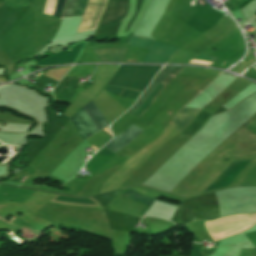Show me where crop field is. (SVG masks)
I'll list each match as a JSON object with an SVG mask.
<instances>
[{
    "label": "crop field",
    "instance_id": "crop-field-7",
    "mask_svg": "<svg viewBox=\"0 0 256 256\" xmlns=\"http://www.w3.org/2000/svg\"><path fill=\"white\" fill-rule=\"evenodd\" d=\"M141 131V129L131 124L124 133L115 137L105 146V148L117 153L123 147H125L128 142L134 139Z\"/></svg>",
    "mask_w": 256,
    "mask_h": 256
},
{
    "label": "crop field",
    "instance_id": "crop-field-6",
    "mask_svg": "<svg viewBox=\"0 0 256 256\" xmlns=\"http://www.w3.org/2000/svg\"><path fill=\"white\" fill-rule=\"evenodd\" d=\"M251 160L252 159L234 162L215 180V182L205 192L229 186Z\"/></svg>",
    "mask_w": 256,
    "mask_h": 256
},
{
    "label": "crop field",
    "instance_id": "crop-field-5",
    "mask_svg": "<svg viewBox=\"0 0 256 256\" xmlns=\"http://www.w3.org/2000/svg\"><path fill=\"white\" fill-rule=\"evenodd\" d=\"M107 0H89L87 9L77 32L96 28L98 20L105 9Z\"/></svg>",
    "mask_w": 256,
    "mask_h": 256
},
{
    "label": "crop field",
    "instance_id": "crop-field-16",
    "mask_svg": "<svg viewBox=\"0 0 256 256\" xmlns=\"http://www.w3.org/2000/svg\"><path fill=\"white\" fill-rule=\"evenodd\" d=\"M224 63H225V62H224ZM224 63H223V64H224ZM223 64H222V65H223ZM222 65H221V66H222Z\"/></svg>",
    "mask_w": 256,
    "mask_h": 256
},
{
    "label": "crop field",
    "instance_id": "crop-field-2",
    "mask_svg": "<svg viewBox=\"0 0 256 256\" xmlns=\"http://www.w3.org/2000/svg\"><path fill=\"white\" fill-rule=\"evenodd\" d=\"M83 108L98 130L110 125L92 101ZM84 110L80 109L70 118L82 140L88 138V135L98 132Z\"/></svg>",
    "mask_w": 256,
    "mask_h": 256
},
{
    "label": "crop field",
    "instance_id": "crop-field-17",
    "mask_svg": "<svg viewBox=\"0 0 256 256\" xmlns=\"http://www.w3.org/2000/svg\"><path fill=\"white\" fill-rule=\"evenodd\" d=\"M1 143V142H0Z\"/></svg>",
    "mask_w": 256,
    "mask_h": 256
},
{
    "label": "crop field",
    "instance_id": "crop-field-10",
    "mask_svg": "<svg viewBox=\"0 0 256 256\" xmlns=\"http://www.w3.org/2000/svg\"><path fill=\"white\" fill-rule=\"evenodd\" d=\"M77 0H67L65 12L63 18H72L75 4ZM87 3V0H78L74 17L73 18H82V14L84 12L85 5Z\"/></svg>",
    "mask_w": 256,
    "mask_h": 256
},
{
    "label": "crop field",
    "instance_id": "crop-field-15",
    "mask_svg": "<svg viewBox=\"0 0 256 256\" xmlns=\"http://www.w3.org/2000/svg\"><path fill=\"white\" fill-rule=\"evenodd\" d=\"M64 3H65V0H57L56 7H55L53 15L61 17L63 7H64Z\"/></svg>",
    "mask_w": 256,
    "mask_h": 256
},
{
    "label": "crop field",
    "instance_id": "crop-field-13",
    "mask_svg": "<svg viewBox=\"0 0 256 256\" xmlns=\"http://www.w3.org/2000/svg\"><path fill=\"white\" fill-rule=\"evenodd\" d=\"M194 59H195V60L211 61V62H214V61L216 60V58L204 56V55H201V54L197 55ZM195 60H191L189 63L203 64V65H209V64H211L210 62L195 61Z\"/></svg>",
    "mask_w": 256,
    "mask_h": 256
},
{
    "label": "crop field",
    "instance_id": "crop-field-9",
    "mask_svg": "<svg viewBox=\"0 0 256 256\" xmlns=\"http://www.w3.org/2000/svg\"><path fill=\"white\" fill-rule=\"evenodd\" d=\"M200 110L192 108H182L181 111L174 118L178 132H181L187 127Z\"/></svg>",
    "mask_w": 256,
    "mask_h": 256
},
{
    "label": "crop field",
    "instance_id": "crop-field-8",
    "mask_svg": "<svg viewBox=\"0 0 256 256\" xmlns=\"http://www.w3.org/2000/svg\"><path fill=\"white\" fill-rule=\"evenodd\" d=\"M127 48L99 49L94 50L100 62H121Z\"/></svg>",
    "mask_w": 256,
    "mask_h": 256
},
{
    "label": "crop field",
    "instance_id": "crop-field-11",
    "mask_svg": "<svg viewBox=\"0 0 256 256\" xmlns=\"http://www.w3.org/2000/svg\"><path fill=\"white\" fill-rule=\"evenodd\" d=\"M210 114L202 111L199 116L194 120V122L182 133V135L190 137L195 133L198 128L203 124V122L208 118Z\"/></svg>",
    "mask_w": 256,
    "mask_h": 256
},
{
    "label": "crop field",
    "instance_id": "crop-field-3",
    "mask_svg": "<svg viewBox=\"0 0 256 256\" xmlns=\"http://www.w3.org/2000/svg\"><path fill=\"white\" fill-rule=\"evenodd\" d=\"M174 67H165L155 78V80L151 83V85L148 87V89L142 94L140 100L136 103V105L131 108L128 112L134 113L136 109L147 99V97L150 95V93L153 91V89L156 87V85L160 82V80L173 69ZM183 67H175L170 73H168L162 81L157 85V87L154 89V91L151 93V95L148 97V99L138 108V110L134 113V115L140 117V115L148 108V106L151 104V102L154 100L156 95L159 93V91L170 82V80L176 76Z\"/></svg>",
    "mask_w": 256,
    "mask_h": 256
},
{
    "label": "crop field",
    "instance_id": "crop-field-12",
    "mask_svg": "<svg viewBox=\"0 0 256 256\" xmlns=\"http://www.w3.org/2000/svg\"><path fill=\"white\" fill-rule=\"evenodd\" d=\"M122 194L126 195V196H129L133 199H136L142 203H145L149 206H151L152 202L154 201L153 199H150L148 197H145V196H142V195H139V194H136L134 192H131V191H128V192H123Z\"/></svg>",
    "mask_w": 256,
    "mask_h": 256
},
{
    "label": "crop field",
    "instance_id": "crop-field-14",
    "mask_svg": "<svg viewBox=\"0 0 256 256\" xmlns=\"http://www.w3.org/2000/svg\"><path fill=\"white\" fill-rule=\"evenodd\" d=\"M4 1L10 4L12 8L28 6V3L25 0H4Z\"/></svg>",
    "mask_w": 256,
    "mask_h": 256
},
{
    "label": "crop field",
    "instance_id": "crop-field-4",
    "mask_svg": "<svg viewBox=\"0 0 256 256\" xmlns=\"http://www.w3.org/2000/svg\"><path fill=\"white\" fill-rule=\"evenodd\" d=\"M129 45L149 49L143 60V62L147 63H165L178 50V48L159 41L135 36L132 37Z\"/></svg>",
    "mask_w": 256,
    "mask_h": 256
},
{
    "label": "crop field",
    "instance_id": "crop-field-1",
    "mask_svg": "<svg viewBox=\"0 0 256 256\" xmlns=\"http://www.w3.org/2000/svg\"><path fill=\"white\" fill-rule=\"evenodd\" d=\"M161 67L121 65L109 84L143 91Z\"/></svg>",
    "mask_w": 256,
    "mask_h": 256
}]
</instances>
